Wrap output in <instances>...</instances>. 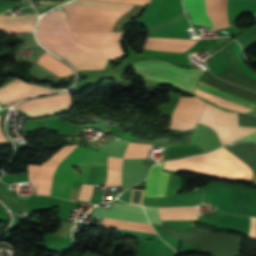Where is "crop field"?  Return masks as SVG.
Returning <instances> with one entry per match:
<instances>
[{
	"mask_svg": "<svg viewBox=\"0 0 256 256\" xmlns=\"http://www.w3.org/2000/svg\"><path fill=\"white\" fill-rule=\"evenodd\" d=\"M77 146L64 147L41 166L28 165V180L36 194H50L57 165ZM106 155L78 146L57 167L50 195L69 200L72 181L85 183L90 166L106 167ZM74 165L79 167L81 174L72 170Z\"/></svg>",
	"mask_w": 256,
	"mask_h": 256,
	"instance_id": "crop-field-1",
	"label": "crop field"
},
{
	"mask_svg": "<svg viewBox=\"0 0 256 256\" xmlns=\"http://www.w3.org/2000/svg\"><path fill=\"white\" fill-rule=\"evenodd\" d=\"M181 160L195 161L203 164L223 166L231 169L251 171L250 167L245 164L242 160L234 156L232 153L224 149L223 147L216 151L197 157H187ZM195 162L187 161H169L165 162L164 168L170 170H189L193 172H199L207 175L234 178V179H245L250 180L252 173L231 170L223 167L203 165Z\"/></svg>",
	"mask_w": 256,
	"mask_h": 256,
	"instance_id": "crop-field-2",
	"label": "crop field"
},
{
	"mask_svg": "<svg viewBox=\"0 0 256 256\" xmlns=\"http://www.w3.org/2000/svg\"><path fill=\"white\" fill-rule=\"evenodd\" d=\"M37 31L73 33V35L122 37L123 33L70 32L63 11L55 10L45 15L39 22ZM114 37L73 36L83 51H104L106 59H114L123 54L120 39Z\"/></svg>",
	"mask_w": 256,
	"mask_h": 256,
	"instance_id": "crop-field-3",
	"label": "crop field"
},
{
	"mask_svg": "<svg viewBox=\"0 0 256 256\" xmlns=\"http://www.w3.org/2000/svg\"><path fill=\"white\" fill-rule=\"evenodd\" d=\"M73 6L112 9L119 11H127L131 9L132 4H121L113 2L92 1V0H76L69 4ZM82 7L64 6L66 13L95 15L105 17L119 18L125 12H118L112 10H100ZM83 15V16H84ZM68 16V25L71 31H111L117 19L114 18H99V17H83V16Z\"/></svg>",
	"mask_w": 256,
	"mask_h": 256,
	"instance_id": "crop-field-4",
	"label": "crop field"
},
{
	"mask_svg": "<svg viewBox=\"0 0 256 256\" xmlns=\"http://www.w3.org/2000/svg\"><path fill=\"white\" fill-rule=\"evenodd\" d=\"M37 37L50 51H82L71 35L37 32ZM68 60L76 70L102 69L106 63L103 52H54Z\"/></svg>",
	"mask_w": 256,
	"mask_h": 256,
	"instance_id": "crop-field-5",
	"label": "crop field"
},
{
	"mask_svg": "<svg viewBox=\"0 0 256 256\" xmlns=\"http://www.w3.org/2000/svg\"><path fill=\"white\" fill-rule=\"evenodd\" d=\"M198 123L214 129L222 145L256 130L238 126V113L224 111L207 102Z\"/></svg>",
	"mask_w": 256,
	"mask_h": 256,
	"instance_id": "crop-field-6",
	"label": "crop field"
},
{
	"mask_svg": "<svg viewBox=\"0 0 256 256\" xmlns=\"http://www.w3.org/2000/svg\"><path fill=\"white\" fill-rule=\"evenodd\" d=\"M137 72L148 79H158L175 84L193 93L196 81L202 73L198 69L184 70L161 61H146L133 65Z\"/></svg>",
	"mask_w": 256,
	"mask_h": 256,
	"instance_id": "crop-field-7",
	"label": "crop field"
},
{
	"mask_svg": "<svg viewBox=\"0 0 256 256\" xmlns=\"http://www.w3.org/2000/svg\"><path fill=\"white\" fill-rule=\"evenodd\" d=\"M195 8L205 26L214 27L205 9V0H194ZM193 0H185L186 9L194 25H204L194 9ZM256 12V0H227V19L229 26L234 24L241 14ZM256 15V13H252Z\"/></svg>",
	"mask_w": 256,
	"mask_h": 256,
	"instance_id": "crop-field-8",
	"label": "crop field"
},
{
	"mask_svg": "<svg viewBox=\"0 0 256 256\" xmlns=\"http://www.w3.org/2000/svg\"><path fill=\"white\" fill-rule=\"evenodd\" d=\"M73 107L69 92L32 99L19 104L16 109L24 110L30 118L43 117L67 112Z\"/></svg>",
	"mask_w": 256,
	"mask_h": 256,
	"instance_id": "crop-field-9",
	"label": "crop field"
},
{
	"mask_svg": "<svg viewBox=\"0 0 256 256\" xmlns=\"http://www.w3.org/2000/svg\"><path fill=\"white\" fill-rule=\"evenodd\" d=\"M168 177V172H162V163L155 164L151 169L150 176L146 180V190L144 196H164ZM182 186V178L170 174L165 197L176 194L182 188Z\"/></svg>",
	"mask_w": 256,
	"mask_h": 256,
	"instance_id": "crop-field-10",
	"label": "crop field"
},
{
	"mask_svg": "<svg viewBox=\"0 0 256 256\" xmlns=\"http://www.w3.org/2000/svg\"><path fill=\"white\" fill-rule=\"evenodd\" d=\"M204 101L194 98L185 99L172 115V129L185 130L195 127L200 117Z\"/></svg>",
	"mask_w": 256,
	"mask_h": 256,
	"instance_id": "crop-field-11",
	"label": "crop field"
},
{
	"mask_svg": "<svg viewBox=\"0 0 256 256\" xmlns=\"http://www.w3.org/2000/svg\"><path fill=\"white\" fill-rule=\"evenodd\" d=\"M23 83H25V82L17 79L15 81H13L12 83H10L9 85L5 86L4 88H2V89L0 88L1 89L0 97ZM23 85H21V86H23ZM21 86H19V87H21ZM18 88H16V89H18ZM16 89H14V90H16ZM57 91H61V90H52V89H48V88H44V87H40V86H36V85H32V84H27L14 92L11 91L12 93L9 92L11 94L7 93L9 95L6 94L7 96L4 95L5 97L2 96L4 98L1 97L2 99H0V102L2 104L5 103L10 106V105L15 104L16 102H18L22 99H25L29 96L57 92Z\"/></svg>",
	"mask_w": 256,
	"mask_h": 256,
	"instance_id": "crop-field-12",
	"label": "crop field"
},
{
	"mask_svg": "<svg viewBox=\"0 0 256 256\" xmlns=\"http://www.w3.org/2000/svg\"><path fill=\"white\" fill-rule=\"evenodd\" d=\"M92 215L148 223L142 207L126 204L114 203L111 209L96 208Z\"/></svg>",
	"mask_w": 256,
	"mask_h": 256,
	"instance_id": "crop-field-13",
	"label": "crop field"
},
{
	"mask_svg": "<svg viewBox=\"0 0 256 256\" xmlns=\"http://www.w3.org/2000/svg\"><path fill=\"white\" fill-rule=\"evenodd\" d=\"M237 214L256 217V205L250 190L227 189Z\"/></svg>",
	"mask_w": 256,
	"mask_h": 256,
	"instance_id": "crop-field-14",
	"label": "crop field"
},
{
	"mask_svg": "<svg viewBox=\"0 0 256 256\" xmlns=\"http://www.w3.org/2000/svg\"><path fill=\"white\" fill-rule=\"evenodd\" d=\"M161 220L197 219L195 207L162 208L159 209Z\"/></svg>",
	"mask_w": 256,
	"mask_h": 256,
	"instance_id": "crop-field-15",
	"label": "crop field"
},
{
	"mask_svg": "<svg viewBox=\"0 0 256 256\" xmlns=\"http://www.w3.org/2000/svg\"><path fill=\"white\" fill-rule=\"evenodd\" d=\"M199 153L203 152L199 147L195 145H166L163 156L182 158Z\"/></svg>",
	"mask_w": 256,
	"mask_h": 256,
	"instance_id": "crop-field-16",
	"label": "crop field"
},
{
	"mask_svg": "<svg viewBox=\"0 0 256 256\" xmlns=\"http://www.w3.org/2000/svg\"><path fill=\"white\" fill-rule=\"evenodd\" d=\"M37 63L41 64L42 66L46 67L47 69L59 76L67 75L73 72L71 69L55 59L49 53L41 56Z\"/></svg>",
	"mask_w": 256,
	"mask_h": 256,
	"instance_id": "crop-field-17",
	"label": "crop field"
},
{
	"mask_svg": "<svg viewBox=\"0 0 256 256\" xmlns=\"http://www.w3.org/2000/svg\"><path fill=\"white\" fill-rule=\"evenodd\" d=\"M36 19L37 16L31 14L21 15L18 17L5 16L4 14H0V27H14L33 24Z\"/></svg>",
	"mask_w": 256,
	"mask_h": 256,
	"instance_id": "crop-field-18",
	"label": "crop field"
},
{
	"mask_svg": "<svg viewBox=\"0 0 256 256\" xmlns=\"http://www.w3.org/2000/svg\"><path fill=\"white\" fill-rule=\"evenodd\" d=\"M240 41H242L247 46L256 42V28L252 29L250 32L246 33L243 36L237 37Z\"/></svg>",
	"mask_w": 256,
	"mask_h": 256,
	"instance_id": "crop-field-19",
	"label": "crop field"
},
{
	"mask_svg": "<svg viewBox=\"0 0 256 256\" xmlns=\"http://www.w3.org/2000/svg\"><path fill=\"white\" fill-rule=\"evenodd\" d=\"M146 213L150 219V221L152 223H161V220L159 218V213H158V209L155 208H149V207H145Z\"/></svg>",
	"mask_w": 256,
	"mask_h": 256,
	"instance_id": "crop-field-20",
	"label": "crop field"
},
{
	"mask_svg": "<svg viewBox=\"0 0 256 256\" xmlns=\"http://www.w3.org/2000/svg\"><path fill=\"white\" fill-rule=\"evenodd\" d=\"M198 83L201 84V85H204V86H206V87H209V88H211V89H213V90H216V91H218V92H221V93H223V94H226V95H228V96H231V97H233V98H236V99H238V100H241V101H243V102H245V103H248V104L253 105V106L256 107V104H255V103H252V102H250V101H247V100H245V99H242V98H240V97H237V96H235V95H232V94L227 93V92H225V91H222V90H220V89H217V88H215V87H212V86L207 85V84H205V83H202V82H200V81H198Z\"/></svg>",
	"mask_w": 256,
	"mask_h": 256,
	"instance_id": "crop-field-21",
	"label": "crop field"
},
{
	"mask_svg": "<svg viewBox=\"0 0 256 256\" xmlns=\"http://www.w3.org/2000/svg\"><path fill=\"white\" fill-rule=\"evenodd\" d=\"M103 1H113V2H123V3L147 5L149 0H103Z\"/></svg>",
	"mask_w": 256,
	"mask_h": 256,
	"instance_id": "crop-field-22",
	"label": "crop field"
},
{
	"mask_svg": "<svg viewBox=\"0 0 256 256\" xmlns=\"http://www.w3.org/2000/svg\"><path fill=\"white\" fill-rule=\"evenodd\" d=\"M240 141H253V142H256V133L251 135V136H249V137H247V138H244V139H242ZM240 141H237V142H240Z\"/></svg>",
	"mask_w": 256,
	"mask_h": 256,
	"instance_id": "crop-field-23",
	"label": "crop field"
},
{
	"mask_svg": "<svg viewBox=\"0 0 256 256\" xmlns=\"http://www.w3.org/2000/svg\"><path fill=\"white\" fill-rule=\"evenodd\" d=\"M3 142H7V141L0 130V143H3Z\"/></svg>",
	"mask_w": 256,
	"mask_h": 256,
	"instance_id": "crop-field-24",
	"label": "crop field"
},
{
	"mask_svg": "<svg viewBox=\"0 0 256 256\" xmlns=\"http://www.w3.org/2000/svg\"><path fill=\"white\" fill-rule=\"evenodd\" d=\"M45 3V2H44Z\"/></svg>",
	"mask_w": 256,
	"mask_h": 256,
	"instance_id": "crop-field-25",
	"label": "crop field"
}]
</instances>
